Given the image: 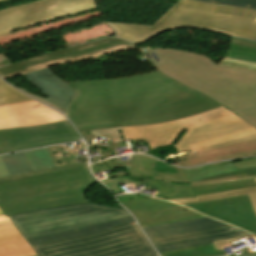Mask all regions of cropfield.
I'll return each mask as SVG.
<instances>
[{
    "mask_svg": "<svg viewBox=\"0 0 256 256\" xmlns=\"http://www.w3.org/2000/svg\"><path fill=\"white\" fill-rule=\"evenodd\" d=\"M220 106L155 70L128 78L81 82L66 116L81 130L182 119Z\"/></svg>",
    "mask_w": 256,
    "mask_h": 256,
    "instance_id": "8a807250",
    "label": "crop field"
},
{
    "mask_svg": "<svg viewBox=\"0 0 256 256\" xmlns=\"http://www.w3.org/2000/svg\"><path fill=\"white\" fill-rule=\"evenodd\" d=\"M139 49L163 74L209 96L256 127V72L220 67L201 54Z\"/></svg>",
    "mask_w": 256,
    "mask_h": 256,
    "instance_id": "ac0d7876",
    "label": "crop field"
},
{
    "mask_svg": "<svg viewBox=\"0 0 256 256\" xmlns=\"http://www.w3.org/2000/svg\"><path fill=\"white\" fill-rule=\"evenodd\" d=\"M126 139L145 138L151 149L175 145L177 152H202L256 139V128L224 107L182 120L122 127ZM145 140V141H146Z\"/></svg>",
    "mask_w": 256,
    "mask_h": 256,
    "instance_id": "34b2d1b8",
    "label": "crop field"
},
{
    "mask_svg": "<svg viewBox=\"0 0 256 256\" xmlns=\"http://www.w3.org/2000/svg\"><path fill=\"white\" fill-rule=\"evenodd\" d=\"M95 181L87 170V161L2 178L0 208L9 216L44 208L86 203L85 192Z\"/></svg>",
    "mask_w": 256,
    "mask_h": 256,
    "instance_id": "412701ff",
    "label": "crop field"
},
{
    "mask_svg": "<svg viewBox=\"0 0 256 256\" xmlns=\"http://www.w3.org/2000/svg\"><path fill=\"white\" fill-rule=\"evenodd\" d=\"M255 20V10L181 0L172 6L153 27L110 24L118 32V38L136 43L145 42L159 33L177 28H194L256 40Z\"/></svg>",
    "mask_w": 256,
    "mask_h": 256,
    "instance_id": "f4fd0767",
    "label": "crop field"
},
{
    "mask_svg": "<svg viewBox=\"0 0 256 256\" xmlns=\"http://www.w3.org/2000/svg\"><path fill=\"white\" fill-rule=\"evenodd\" d=\"M33 248L39 256H149L156 253L136 222Z\"/></svg>",
    "mask_w": 256,
    "mask_h": 256,
    "instance_id": "dd49c442",
    "label": "crop field"
},
{
    "mask_svg": "<svg viewBox=\"0 0 256 256\" xmlns=\"http://www.w3.org/2000/svg\"><path fill=\"white\" fill-rule=\"evenodd\" d=\"M129 215L121 208L81 204L18 214L8 219L24 239H28L77 230Z\"/></svg>",
    "mask_w": 256,
    "mask_h": 256,
    "instance_id": "e52e79f7",
    "label": "crop field"
},
{
    "mask_svg": "<svg viewBox=\"0 0 256 256\" xmlns=\"http://www.w3.org/2000/svg\"><path fill=\"white\" fill-rule=\"evenodd\" d=\"M96 8L93 0H39L0 11V37L12 30Z\"/></svg>",
    "mask_w": 256,
    "mask_h": 256,
    "instance_id": "d8731c3e",
    "label": "crop field"
},
{
    "mask_svg": "<svg viewBox=\"0 0 256 256\" xmlns=\"http://www.w3.org/2000/svg\"><path fill=\"white\" fill-rule=\"evenodd\" d=\"M134 47L135 44L118 38H106L80 46L47 53L1 68L0 76L6 80L41 68L123 51Z\"/></svg>",
    "mask_w": 256,
    "mask_h": 256,
    "instance_id": "5a996713",
    "label": "crop field"
},
{
    "mask_svg": "<svg viewBox=\"0 0 256 256\" xmlns=\"http://www.w3.org/2000/svg\"><path fill=\"white\" fill-rule=\"evenodd\" d=\"M68 121L0 131V153L79 140Z\"/></svg>",
    "mask_w": 256,
    "mask_h": 256,
    "instance_id": "3316defc",
    "label": "crop field"
},
{
    "mask_svg": "<svg viewBox=\"0 0 256 256\" xmlns=\"http://www.w3.org/2000/svg\"><path fill=\"white\" fill-rule=\"evenodd\" d=\"M117 198L126 209L135 215L141 226L202 216L180 205L139 194Z\"/></svg>",
    "mask_w": 256,
    "mask_h": 256,
    "instance_id": "28ad6ade",
    "label": "crop field"
},
{
    "mask_svg": "<svg viewBox=\"0 0 256 256\" xmlns=\"http://www.w3.org/2000/svg\"><path fill=\"white\" fill-rule=\"evenodd\" d=\"M184 206L256 234V217L247 195L184 204Z\"/></svg>",
    "mask_w": 256,
    "mask_h": 256,
    "instance_id": "d1516ede",
    "label": "crop field"
},
{
    "mask_svg": "<svg viewBox=\"0 0 256 256\" xmlns=\"http://www.w3.org/2000/svg\"><path fill=\"white\" fill-rule=\"evenodd\" d=\"M251 235L230 225L186 232L177 235L151 238L150 241L159 252H167L201 245L211 244L234 237Z\"/></svg>",
    "mask_w": 256,
    "mask_h": 256,
    "instance_id": "22f410ed",
    "label": "crop field"
},
{
    "mask_svg": "<svg viewBox=\"0 0 256 256\" xmlns=\"http://www.w3.org/2000/svg\"><path fill=\"white\" fill-rule=\"evenodd\" d=\"M64 120L67 119L61 114L37 101L0 107V130Z\"/></svg>",
    "mask_w": 256,
    "mask_h": 256,
    "instance_id": "cbeb9de0",
    "label": "crop field"
},
{
    "mask_svg": "<svg viewBox=\"0 0 256 256\" xmlns=\"http://www.w3.org/2000/svg\"><path fill=\"white\" fill-rule=\"evenodd\" d=\"M23 76L32 85H34L36 88H38L41 92H43L47 96V98H42V99L64 110L67 109L68 105L70 104L71 100L73 99L76 93L69 86H67L61 79H59L53 72H51L48 68L41 69L28 74H24Z\"/></svg>",
    "mask_w": 256,
    "mask_h": 256,
    "instance_id": "5142ce71",
    "label": "crop field"
},
{
    "mask_svg": "<svg viewBox=\"0 0 256 256\" xmlns=\"http://www.w3.org/2000/svg\"><path fill=\"white\" fill-rule=\"evenodd\" d=\"M251 156H256V140L212 151L175 158L173 160H169L168 162H172L179 166L192 167L214 161Z\"/></svg>",
    "mask_w": 256,
    "mask_h": 256,
    "instance_id": "d9b57169",
    "label": "crop field"
},
{
    "mask_svg": "<svg viewBox=\"0 0 256 256\" xmlns=\"http://www.w3.org/2000/svg\"><path fill=\"white\" fill-rule=\"evenodd\" d=\"M218 65L256 71V42L231 38L230 51Z\"/></svg>",
    "mask_w": 256,
    "mask_h": 256,
    "instance_id": "733c2abd",
    "label": "crop field"
},
{
    "mask_svg": "<svg viewBox=\"0 0 256 256\" xmlns=\"http://www.w3.org/2000/svg\"><path fill=\"white\" fill-rule=\"evenodd\" d=\"M226 225L210 219L208 217H196L191 219H185L180 221L168 222L163 224L151 225L143 227L145 233L148 238L162 236V235H170L177 234L186 231L221 226Z\"/></svg>",
    "mask_w": 256,
    "mask_h": 256,
    "instance_id": "4a817a6b",
    "label": "crop field"
},
{
    "mask_svg": "<svg viewBox=\"0 0 256 256\" xmlns=\"http://www.w3.org/2000/svg\"><path fill=\"white\" fill-rule=\"evenodd\" d=\"M189 183L248 173L256 175V168L237 170L233 161L218 162L195 169H183Z\"/></svg>",
    "mask_w": 256,
    "mask_h": 256,
    "instance_id": "bc2a9ffb",
    "label": "crop field"
},
{
    "mask_svg": "<svg viewBox=\"0 0 256 256\" xmlns=\"http://www.w3.org/2000/svg\"><path fill=\"white\" fill-rule=\"evenodd\" d=\"M195 195H204L222 191H229L241 188L256 186L253 176L247 174L220 178L215 180L203 181L190 184Z\"/></svg>",
    "mask_w": 256,
    "mask_h": 256,
    "instance_id": "214f88e0",
    "label": "crop field"
},
{
    "mask_svg": "<svg viewBox=\"0 0 256 256\" xmlns=\"http://www.w3.org/2000/svg\"><path fill=\"white\" fill-rule=\"evenodd\" d=\"M14 225L0 227V256H36Z\"/></svg>",
    "mask_w": 256,
    "mask_h": 256,
    "instance_id": "92a150f3",
    "label": "crop field"
},
{
    "mask_svg": "<svg viewBox=\"0 0 256 256\" xmlns=\"http://www.w3.org/2000/svg\"><path fill=\"white\" fill-rule=\"evenodd\" d=\"M130 160H132L129 163L130 169L128 170L130 175L157 178V179L165 180L166 182H173V183H188L182 169L180 168H179L178 174L158 173V172L149 170L155 162V159L153 158H150L144 155H132Z\"/></svg>",
    "mask_w": 256,
    "mask_h": 256,
    "instance_id": "dafd665d",
    "label": "crop field"
},
{
    "mask_svg": "<svg viewBox=\"0 0 256 256\" xmlns=\"http://www.w3.org/2000/svg\"><path fill=\"white\" fill-rule=\"evenodd\" d=\"M133 221H134V219L132 218V216H130V217L106 222L103 224H99V225H96L93 227H89V228H85V229H81V230H77V231H71V232H66V233H62V234L33 238V239H28L27 241L29 242V244L31 246L37 245V244H42V243L60 241V240H64V239L100 231V230L106 229L108 227H113V226L129 223V222H133Z\"/></svg>",
    "mask_w": 256,
    "mask_h": 256,
    "instance_id": "00972430",
    "label": "crop field"
},
{
    "mask_svg": "<svg viewBox=\"0 0 256 256\" xmlns=\"http://www.w3.org/2000/svg\"><path fill=\"white\" fill-rule=\"evenodd\" d=\"M146 185L157 188L155 196L163 199L195 197L189 184H172L146 179Z\"/></svg>",
    "mask_w": 256,
    "mask_h": 256,
    "instance_id": "a9b5d70f",
    "label": "crop field"
},
{
    "mask_svg": "<svg viewBox=\"0 0 256 256\" xmlns=\"http://www.w3.org/2000/svg\"><path fill=\"white\" fill-rule=\"evenodd\" d=\"M242 238V237H240ZM234 238L219 242H214L212 245L196 247L191 249L160 253L161 256H220L226 254L222 249L226 246H230V242L240 239Z\"/></svg>",
    "mask_w": 256,
    "mask_h": 256,
    "instance_id": "4177f3b9",
    "label": "crop field"
},
{
    "mask_svg": "<svg viewBox=\"0 0 256 256\" xmlns=\"http://www.w3.org/2000/svg\"><path fill=\"white\" fill-rule=\"evenodd\" d=\"M244 194H248L250 201L253 205V208L255 210V213H256V187L242 189V190L229 191V192H223V193H217V194H211V195H205V196H199L197 198L173 199V200H169V201H173V202H176L179 204H184V203L211 200V199L231 197V196L244 195Z\"/></svg>",
    "mask_w": 256,
    "mask_h": 256,
    "instance_id": "730fd06b",
    "label": "crop field"
},
{
    "mask_svg": "<svg viewBox=\"0 0 256 256\" xmlns=\"http://www.w3.org/2000/svg\"><path fill=\"white\" fill-rule=\"evenodd\" d=\"M1 158L10 176L31 171L22 152L2 155Z\"/></svg>",
    "mask_w": 256,
    "mask_h": 256,
    "instance_id": "eef30255",
    "label": "crop field"
},
{
    "mask_svg": "<svg viewBox=\"0 0 256 256\" xmlns=\"http://www.w3.org/2000/svg\"><path fill=\"white\" fill-rule=\"evenodd\" d=\"M84 131H90L91 135H85ZM79 132L80 134H82L85 141H87L86 144L91 143L95 137H100V136L105 137V139L107 138L109 144L121 142V141H127L125 140L120 127L104 128V129H96V130H81Z\"/></svg>",
    "mask_w": 256,
    "mask_h": 256,
    "instance_id": "ae1a2a85",
    "label": "crop field"
},
{
    "mask_svg": "<svg viewBox=\"0 0 256 256\" xmlns=\"http://www.w3.org/2000/svg\"><path fill=\"white\" fill-rule=\"evenodd\" d=\"M33 171L52 168L54 166L46 148L24 152Z\"/></svg>",
    "mask_w": 256,
    "mask_h": 256,
    "instance_id": "d3111659",
    "label": "crop field"
},
{
    "mask_svg": "<svg viewBox=\"0 0 256 256\" xmlns=\"http://www.w3.org/2000/svg\"><path fill=\"white\" fill-rule=\"evenodd\" d=\"M1 99H4V101H1ZM32 100L33 99L17 92L0 79V106Z\"/></svg>",
    "mask_w": 256,
    "mask_h": 256,
    "instance_id": "750c4746",
    "label": "crop field"
},
{
    "mask_svg": "<svg viewBox=\"0 0 256 256\" xmlns=\"http://www.w3.org/2000/svg\"><path fill=\"white\" fill-rule=\"evenodd\" d=\"M222 6L256 9V0H196Z\"/></svg>",
    "mask_w": 256,
    "mask_h": 256,
    "instance_id": "bd1437ed",
    "label": "crop field"
},
{
    "mask_svg": "<svg viewBox=\"0 0 256 256\" xmlns=\"http://www.w3.org/2000/svg\"><path fill=\"white\" fill-rule=\"evenodd\" d=\"M134 179H140L145 181V179H141V178L118 177V178H113L108 180H102L101 182L105 184L114 193H121L124 191L118 186V183L119 182H123L124 184L133 183V185H135L136 183Z\"/></svg>",
    "mask_w": 256,
    "mask_h": 256,
    "instance_id": "1d83c4d3",
    "label": "crop field"
},
{
    "mask_svg": "<svg viewBox=\"0 0 256 256\" xmlns=\"http://www.w3.org/2000/svg\"><path fill=\"white\" fill-rule=\"evenodd\" d=\"M125 164H126V162L116 163L115 158H113L110 160L102 161V162L91 165V170H92V173L101 172V171H106V170L123 167V166H125Z\"/></svg>",
    "mask_w": 256,
    "mask_h": 256,
    "instance_id": "120bbe31",
    "label": "crop field"
},
{
    "mask_svg": "<svg viewBox=\"0 0 256 256\" xmlns=\"http://www.w3.org/2000/svg\"><path fill=\"white\" fill-rule=\"evenodd\" d=\"M47 149L56 167L67 164L58 146L48 147Z\"/></svg>",
    "mask_w": 256,
    "mask_h": 256,
    "instance_id": "d32e631a",
    "label": "crop field"
},
{
    "mask_svg": "<svg viewBox=\"0 0 256 256\" xmlns=\"http://www.w3.org/2000/svg\"><path fill=\"white\" fill-rule=\"evenodd\" d=\"M59 147H60L68 164L78 162L70 144L60 145Z\"/></svg>",
    "mask_w": 256,
    "mask_h": 256,
    "instance_id": "5866460e",
    "label": "crop field"
},
{
    "mask_svg": "<svg viewBox=\"0 0 256 256\" xmlns=\"http://www.w3.org/2000/svg\"><path fill=\"white\" fill-rule=\"evenodd\" d=\"M155 171L159 172H168V173H177L178 168L171 166L169 164L163 163V162H156L152 168Z\"/></svg>",
    "mask_w": 256,
    "mask_h": 256,
    "instance_id": "028f5c9d",
    "label": "crop field"
},
{
    "mask_svg": "<svg viewBox=\"0 0 256 256\" xmlns=\"http://www.w3.org/2000/svg\"><path fill=\"white\" fill-rule=\"evenodd\" d=\"M121 146H126V145L124 144V142H121V143H116V144H111V145L100 147V150H101L104 158H107V157H109V155L113 154L111 149L121 147Z\"/></svg>",
    "mask_w": 256,
    "mask_h": 256,
    "instance_id": "e1f06a70",
    "label": "crop field"
},
{
    "mask_svg": "<svg viewBox=\"0 0 256 256\" xmlns=\"http://www.w3.org/2000/svg\"><path fill=\"white\" fill-rule=\"evenodd\" d=\"M235 165H236L237 169L256 167V159L235 162Z\"/></svg>",
    "mask_w": 256,
    "mask_h": 256,
    "instance_id": "0bd39190",
    "label": "crop field"
},
{
    "mask_svg": "<svg viewBox=\"0 0 256 256\" xmlns=\"http://www.w3.org/2000/svg\"><path fill=\"white\" fill-rule=\"evenodd\" d=\"M9 176L1 158H0V178Z\"/></svg>",
    "mask_w": 256,
    "mask_h": 256,
    "instance_id": "b80d0937",
    "label": "crop field"
},
{
    "mask_svg": "<svg viewBox=\"0 0 256 256\" xmlns=\"http://www.w3.org/2000/svg\"><path fill=\"white\" fill-rule=\"evenodd\" d=\"M241 252L243 253V255H241V256H256V253L251 249H248V248H246V249H243V250H241ZM230 256H232V255H230Z\"/></svg>",
    "mask_w": 256,
    "mask_h": 256,
    "instance_id": "c035e120",
    "label": "crop field"
},
{
    "mask_svg": "<svg viewBox=\"0 0 256 256\" xmlns=\"http://www.w3.org/2000/svg\"><path fill=\"white\" fill-rule=\"evenodd\" d=\"M11 84V83H10ZM11 85H13V84H11ZM13 86H15V85H13ZM16 88H18L17 86H15ZM19 90H21L20 88H18ZM21 91H23V90H21ZM23 92H25V91H23ZM25 93H27V92H25ZM27 94H29V93H27ZM30 95V94H29ZM32 96V95H31ZM34 97V96H33ZM36 99H38V100H40V101H42V102H44V103H46V104H48V105H50V106H52V107H54L55 109H57V110H59L60 112H62V113H64V110H62V109H60V108H58V107H56V106H54V105H52V104H50V103H48V102H46V101H44V100H41V99H39V98H37V97H35ZM34 98V99H35ZM66 112V111H65Z\"/></svg>",
    "mask_w": 256,
    "mask_h": 256,
    "instance_id": "c21b1889",
    "label": "crop field"
},
{
    "mask_svg": "<svg viewBox=\"0 0 256 256\" xmlns=\"http://www.w3.org/2000/svg\"><path fill=\"white\" fill-rule=\"evenodd\" d=\"M79 144H80V143H73V144H71L72 147H73V149H74V151H75V149H78V151L80 150V149H79ZM75 154H76V156H77L79 162L85 161V160H82L81 156H78V155H77L76 151H75Z\"/></svg>",
    "mask_w": 256,
    "mask_h": 256,
    "instance_id": "03da06ac",
    "label": "crop field"
},
{
    "mask_svg": "<svg viewBox=\"0 0 256 256\" xmlns=\"http://www.w3.org/2000/svg\"><path fill=\"white\" fill-rule=\"evenodd\" d=\"M11 224L12 223L9 220L0 222V226L11 225Z\"/></svg>",
    "mask_w": 256,
    "mask_h": 256,
    "instance_id": "b54c1fbb",
    "label": "crop field"
},
{
    "mask_svg": "<svg viewBox=\"0 0 256 256\" xmlns=\"http://www.w3.org/2000/svg\"><path fill=\"white\" fill-rule=\"evenodd\" d=\"M6 219H7V217L5 215L0 216V221L6 220Z\"/></svg>",
    "mask_w": 256,
    "mask_h": 256,
    "instance_id": "5d738f31",
    "label": "crop field"
},
{
    "mask_svg": "<svg viewBox=\"0 0 256 256\" xmlns=\"http://www.w3.org/2000/svg\"><path fill=\"white\" fill-rule=\"evenodd\" d=\"M83 148H85V146L82 144V146H81V150H83Z\"/></svg>",
    "mask_w": 256,
    "mask_h": 256,
    "instance_id": "d23c7cc5",
    "label": "crop field"
},
{
    "mask_svg": "<svg viewBox=\"0 0 256 256\" xmlns=\"http://www.w3.org/2000/svg\"><path fill=\"white\" fill-rule=\"evenodd\" d=\"M2 214H4V213H3L2 210L0 209V215H2Z\"/></svg>",
    "mask_w": 256,
    "mask_h": 256,
    "instance_id": "425ffa30",
    "label": "crop field"
},
{
    "mask_svg": "<svg viewBox=\"0 0 256 256\" xmlns=\"http://www.w3.org/2000/svg\"><path fill=\"white\" fill-rule=\"evenodd\" d=\"M152 256H157V254H155V255H152Z\"/></svg>",
    "mask_w": 256,
    "mask_h": 256,
    "instance_id": "25e5ab78",
    "label": "crop field"
},
{
    "mask_svg": "<svg viewBox=\"0 0 256 256\" xmlns=\"http://www.w3.org/2000/svg\"><path fill=\"white\" fill-rule=\"evenodd\" d=\"M3 1V0H0V2Z\"/></svg>",
    "mask_w": 256,
    "mask_h": 256,
    "instance_id": "73cf0c24",
    "label": "crop field"
},
{
    "mask_svg": "<svg viewBox=\"0 0 256 256\" xmlns=\"http://www.w3.org/2000/svg\"><path fill=\"white\" fill-rule=\"evenodd\" d=\"M255 180H256V178H255Z\"/></svg>",
    "mask_w": 256,
    "mask_h": 256,
    "instance_id": "89e229c0",
    "label": "crop field"
}]
</instances>
